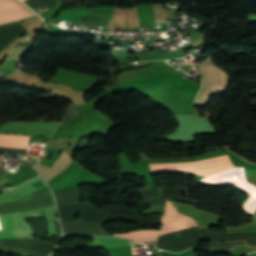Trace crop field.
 I'll list each match as a JSON object with an SVG mask.
<instances>
[{"instance_id": "obj_2", "label": "crop field", "mask_w": 256, "mask_h": 256, "mask_svg": "<svg viewBox=\"0 0 256 256\" xmlns=\"http://www.w3.org/2000/svg\"><path fill=\"white\" fill-rule=\"evenodd\" d=\"M202 72L203 87L196 100L197 105L205 106L212 95L223 93L228 88L229 79L211 63V56L199 67Z\"/></svg>"}, {"instance_id": "obj_10", "label": "crop field", "mask_w": 256, "mask_h": 256, "mask_svg": "<svg viewBox=\"0 0 256 256\" xmlns=\"http://www.w3.org/2000/svg\"><path fill=\"white\" fill-rule=\"evenodd\" d=\"M57 205L77 203L81 200L79 188H72L59 193H55Z\"/></svg>"}, {"instance_id": "obj_13", "label": "crop field", "mask_w": 256, "mask_h": 256, "mask_svg": "<svg viewBox=\"0 0 256 256\" xmlns=\"http://www.w3.org/2000/svg\"><path fill=\"white\" fill-rule=\"evenodd\" d=\"M246 176H256V170H245Z\"/></svg>"}, {"instance_id": "obj_8", "label": "crop field", "mask_w": 256, "mask_h": 256, "mask_svg": "<svg viewBox=\"0 0 256 256\" xmlns=\"http://www.w3.org/2000/svg\"><path fill=\"white\" fill-rule=\"evenodd\" d=\"M30 136L0 134V147L28 149Z\"/></svg>"}, {"instance_id": "obj_7", "label": "crop field", "mask_w": 256, "mask_h": 256, "mask_svg": "<svg viewBox=\"0 0 256 256\" xmlns=\"http://www.w3.org/2000/svg\"><path fill=\"white\" fill-rule=\"evenodd\" d=\"M70 161L71 160L69 159V157L65 154L64 151H62L61 155L59 156L53 167L48 168L38 163L36 165V169L44 177V179L48 181L54 176L58 175L60 172H62L65 168H67Z\"/></svg>"}, {"instance_id": "obj_4", "label": "crop field", "mask_w": 256, "mask_h": 256, "mask_svg": "<svg viewBox=\"0 0 256 256\" xmlns=\"http://www.w3.org/2000/svg\"><path fill=\"white\" fill-rule=\"evenodd\" d=\"M59 125L55 122H13L0 126V132L51 136Z\"/></svg>"}, {"instance_id": "obj_12", "label": "crop field", "mask_w": 256, "mask_h": 256, "mask_svg": "<svg viewBox=\"0 0 256 256\" xmlns=\"http://www.w3.org/2000/svg\"><path fill=\"white\" fill-rule=\"evenodd\" d=\"M55 227H56V235H57L58 238L60 239L61 230H60V224H59V222H55Z\"/></svg>"}, {"instance_id": "obj_11", "label": "crop field", "mask_w": 256, "mask_h": 256, "mask_svg": "<svg viewBox=\"0 0 256 256\" xmlns=\"http://www.w3.org/2000/svg\"><path fill=\"white\" fill-rule=\"evenodd\" d=\"M158 232L159 231H156V230H139V231L127 232L122 235H118V234H114V235L125 237L135 241H156Z\"/></svg>"}, {"instance_id": "obj_3", "label": "crop field", "mask_w": 256, "mask_h": 256, "mask_svg": "<svg viewBox=\"0 0 256 256\" xmlns=\"http://www.w3.org/2000/svg\"><path fill=\"white\" fill-rule=\"evenodd\" d=\"M206 179L232 181V182H247L244 178L243 168H234ZM206 179H203L202 182L219 184V185H236L242 188L243 190L247 191L248 193H250L251 196L249 200L244 204V207L247 211H249L250 213H253L256 207V187L255 186L249 183H232V182H222V181H214V180H206Z\"/></svg>"}, {"instance_id": "obj_5", "label": "crop field", "mask_w": 256, "mask_h": 256, "mask_svg": "<svg viewBox=\"0 0 256 256\" xmlns=\"http://www.w3.org/2000/svg\"><path fill=\"white\" fill-rule=\"evenodd\" d=\"M165 202V214L160 235L197 225L191 218L178 214L174 205L168 200Z\"/></svg>"}, {"instance_id": "obj_9", "label": "crop field", "mask_w": 256, "mask_h": 256, "mask_svg": "<svg viewBox=\"0 0 256 256\" xmlns=\"http://www.w3.org/2000/svg\"><path fill=\"white\" fill-rule=\"evenodd\" d=\"M85 246L94 248L113 247V246H125L130 245L128 240L113 238V237H94L93 243H83Z\"/></svg>"}, {"instance_id": "obj_1", "label": "crop field", "mask_w": 256, "mask_h": 256, "mask_svg": "<svg viewBox=\"0 0 256 256\" xmlns=\"http://www.w3.org/2000/svg\"><path fill=\"white\" fill-rule=\"evenodd\" d=\"M55 205L49 188L32 192L25 197L0 204V215L35 210ZM39 217V211H29L0 216L2 230L0 239L32 238L30 226L23 221L27 218ZM57 243L41 242L38 239L0 240V251L20 256H48Z\"/></svg>"}, {"instance_id": "obj_6", "label": "crop field", "mask_w": 256, "mask_h": 256, "mask_svg": "<svg viewBox=\"0 0 256 256\" xmlns=\"http://www.w3.org/2000/svg\"><path fill=\"white\" fill-rule=\"evenodd\" d=\"M63 231L66 234L80 235H107L101 230V227L95 223L86 221L61 222Z\"/></svg>"}, {"instance_id": "obj_14", "label": "crop field", "mask_w": 256, "mask_h": 256, "mask_svg": "<svg viewBox=\"0 0 256 256\" xmlns=\"http://www.w3.org/2000/svg\"><path fill=\"white\" fill-rule=\"evenodd\" d=\"M1 162V161H0ZM8 180H7V178H6V176H5V174H3V175H0V183H4V182H7Z\"/></svg>"}]
</instances>
